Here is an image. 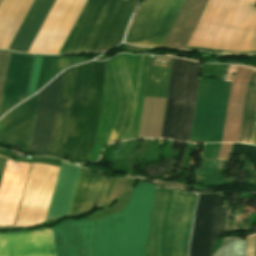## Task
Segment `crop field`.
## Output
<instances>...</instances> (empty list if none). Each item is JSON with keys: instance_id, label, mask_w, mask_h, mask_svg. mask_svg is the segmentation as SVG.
<instances>
[{"instance_id": "1", "label": "crop field", "mask_w": 256, "mask_h": 256, "mask_svg": "<svg viewBox=\"0 0 256 256\" xmlns=\"http://www.w3.org/2000/svg\"><path fill=\"white\" fill-rule=\"evenodd\" d=\"M186 46L256 50V0H209ZM192 47L185 49L256 53Z\"/></svg>"}, {"instance_id": "2", "label": "crop field", "mask_w": 256, "mask_h": 256, "mask_svg": "<svg viewBox=\"0 0 256 256\" xmlns=\"http://www.w3.org/2000/svg\"><path fill=\"white\" fill-rule=\"evenodd\" d=\"M156 187L138 183L119 213L98 217L93 256H145V243Z\"/></svg>"}, {"instance_id": "3", "label": "crop field", "mask_w": 256, "mask_h": 256, "mask_svg": "<svg viewBox=\"0 0 256 256\" xmlns=\"http://www.w3.org/2000/svg\"><path fill=\"white\" fill-rule=\"evenodd\" d=\"M136 2L87 0L60 54L99 52L121 42Z\"/></svg>"}, {"instance_id": "4", "label": "crop field", "mask_w": 256, "mask_h": 256, "mask_svg": "<svg viewBox=\"0 0 256 256\" xmlns=\"http://www.w3.org/2000/svg\"><path fill=\"white\" fill-rule=\"evenodd\" d=\"M54 0H35L9 49L27 52ZM86 0H55L28 52L58 54Z\"/></svg>"}, {"instance_id": "5", "label": "crop field", "mask_w": 256, "mask_h": 256, "mask_svg": "<svg viewBox=\"0 0 256 256\" xmlns=\"http://www.w3.org/2000/svg\"><path fill=\"white\" fill-rule=\"evenodd\" d=\"M104 64L91 61L77 69L67 137L60 154L78 163L85 161L93 143Z\"/></svg>"}, {"instance_id": "6", "label": "crop field", "mask_w": 256, "mask_h": 256, "mask_svg": "<svg viewBox=\"0 0 256 256\" xmlns=\"http://www.w3.org/2000/svg\"><path fill=\"white\" fill-rule=\"evenodd\" d=\"M200 67L174 58L161 137L188 141Z\"/></svg>"}, {"instance_id": "7", "label": "crop field", "mask_w": 256, "mask_h": 256, "mask_svg": "<svg viewBox=\"0 0 256 256\" xmlns=\"http://www.w3.org/2000/svg\"><path fill=\"white\" fill-rule=\"evenodd\" d=\"M230 82L200 78L191 141L221 142Z\"/></svg>"}, {"instance_id": "8", "label": "crop field", "mask_w": 256, "mask_h": 256, "mask_svg": "<svg viewBox=\"0 0 256 256\" xmlns=\"http://www.w3.org/2000/svg\"><path fill=\"white\" fill-rule=\"evenodd\" d=\"M184 0H144L125 42L161 48Z\"/></svg>"}, {"instance_id": "9", "label": "crop field", "mask_w": 256, "mask_h": 256, "mask_svg": "<svg viewBox=\"0 0 256 256\" xmlns=\"http://www.w3.org/2000/svg\"><path fill=\"white\" fill-rule=\"evenodd\" d=\"M221 198L216 195H199L189 256H210L211 245L221 234L226 210L219 208Z\"/></svg>"}, {"instance_id": "10", "label": "crop field", "mask_w": 256, "mask_h": 256, "mask_svg": "<svg viewBox=\"0 0 256 256\" xmlns=\"http://www.w3.org/2000/svg\"><path fill=\"white\" fill-rule=\"evenodd\" d=\"M195 198L192 193L174 189L164 256H187Z\"/></svg>"}, {"instance_id": "11", "label": "crop field", "mask_w": 256, "mask_h": 256, "mask_svg": "<svg viewBox=\"0 0 256 256\" xmlns=\"http://www.w3.org/2000/svg\"><path fill=\"white\" fill-rule=\"evenodd\" d=\"M62 75L40 91L33 138L26 152L47 153L53 135Z\"/></svg>"}, {"instance_id": "12", "label": "crop field", "mask_w": 256, "mask_h": 256, "mask_svg": "<svg viewBox=\"0 0 256 256\" xmlns=\"http://www.w3.org/2000/svg\"><path fill=\"white\" fill-rule=\"evenodd\" d=\"M95 220H66L51 228L56 256H91Z\"/></svg>"}, {"instance_id": "13", "label": "crop field", "mask_w": 256, "mask_h": 256, "mask_svg": "<svg viewBox=\"0 0 256 256\" xmlns=\"http://www.w3.org/2000/svg\"><path fill=\"white\" fill-rule=\"evenodd\" d=\"M34 56L11 53L3 88L0 116L25 99Z\"/></svg>"}, {"instance_id": "14", "label": "crop field", "mask_w": 256, "mask_h": 256, "mask_svg": "<svg viewBox=\"0 0 256 256\" xmlns=\"http://www.w3.org/2000/svg\"><path fill=\"white\" fill-rule=\"evenodd\" d=\"M38 94L4 116L1 143L28 144L32 138Z\"/></svg>"}, {"instance_id": "15", "label": "crop field", "mask_w": 256, "mask_h": 256, "mask_svg": "<svg viewBox=\"0 0 256 256\" xmlns=\"http://www.w3.org/2000/svg\"><path fill=\"white\" fill-rule=\"evenodd\" d=\"M114 178L90 174L81 169L69 214L90 211L96 201L108 198Z\"/></svg>"}, {"instance_id": "16", "label": "crop field", "mask_w": 256, "mask_h": 256, "mask_svg": "<svg viewBox=\"0 0 256 256\" xmlns=\"http://www.w3.org/2000/svg\"><path fill=\"white\" fill-rule=\"evenodd\" d=\"M80 169L78 166L61 161L46 219L68 215Z\"/></svg>"}, {"instance_id": "17", "label": "crop field", "mask_w": 256, "mask_h": 256, "mask_svg": "<svg viewBox=\"0 0 256 256\" xmlns=\"http://www.w3.org/2000/svg\"><path fill=\"white\" fill-rule=\"evenodd\" d=\"M7 256H55L50 229L8 233Z\"/></svg>"}, {"instance_id": "18", "label": "crop field", "mask_w": 256, "mask_h": 256, "mask_svg": "<svg viewBox=\"0 0 256 256\" xmlns=\"http://www.w3.org/2000/svg\"><path fill=\"white\" fill-rule=\"evenodd\" d=\"M172 191L157 189L154 211L147 243V256H163V244L169 215Z\"/></svg>"}, {"instance_id": "19", "label": "crop field", "mask_w": 256, "mask_h": 256, "mask_svg": "<svg viewBox=\"0 0 256 256\" xmlns=\"http://www.w3.org/2000/svg\"><path fill=\"white\" fill-rule=\"evenodd\" d=\"M33 0H2L0 3V49H8Z\"/></svg>"}, {"instance_id": "20", "label": "crop field", "mask_w": 256, "mask_h": 256, "mask_svg": "<svg viewBox=\"0 0 256 256\" xmlns=\"http://www.w3.org/2000/svg\"><path fill=\"white\" fill-rule=\"evenodd\" d=\"M76 67L64 71L60 99L70 101ZM59 101L53 140L47 154L57 155L65 137L70 102Z\"/></svg>"}, {"instance_id": "21", "label": "crop field", "mask_w": 256, "mask_h": 256, "mask_svg": "<svg viewBox=\"0 0 256 256\" xmlns=\"http://www.w3.org/2000/svg\"><path fill=\"white\" fill-rule=\"evenodd\" d=\"M256 122V70L253 71L246 90L238 142L252 144Z\"/></svg>"}, {"instance_id": "22", "label": "crop field", "mask_w": 256, "mask_h": 256, "mask_svg": "<svg viewBox=\"0 0 256 256\" xmlns=\"http://www.w3.org/2000/svg\"><path fill=\"white\" fill-rule=\"evenodd\" d=\"M61 57L43 56L36 90L58 73Z\"/></svg>"}, {"instance_id": "23", "label": "crop field", "mask_w": 256, "mask_h": 256, "mask_svg": "<svg viewBox=\"0 0 256 256\" xmlns=\"http://www.w3.org/2000/svg\"><path fill=\"white\" fill-rule=\"evenodd\" d=\"M245 242L242 238L226 237L224 244L215 256H244Z\"/></svg>"}, {"instance_id": "24", "label": "crop field", "mask_w": 256, "mask_h": 256, "mask_svg": "<svg viewBox=\"0 0 256 256\" xmlns=\"http://www.w3.org/2000/svg\"><path fill=\"white\" fill-rule=\"evenodd\" d=\"M42 56H35L34 58V63L32 67V72H31V77H30V82H29V87L27 91V96H30L31 94L34 93L35 86H36V81H37V76L39 72V67H40V62H41Z\"/></svg>"}, {"instance_id": "25", "label": "crop field", "mask_w": 256, "mask_h": 256, "mask_svg": "<svg viewBox=\"0 0 256 256\" xmlns=\"http://www.w3.org/2000/svg\"><path fill=\"white\" fill-rule=\"evenodd\" d=\"M221 144H206L203 156L208 159H217Z\"/></svg>"}, {"instance_id": "26", "label": "crop field", "mask_w": 256, "mask_h": 256, "mask_svg": "<svg viewBox=\"0 0 256 256\" xmlns=\"http://www.w3.org/2000/svg\"><path fill=\"white\" fill-rule=\"evenodd\" d=\"M255 239H256V233L247 236L245 256H254V253H255Z\"/></svg>"}, {"instance_id": "27", "label": "crop field", "mask_w": 256, "mask_h": 256, "mask_svg": "<svg viewBox=\"0 0 256 256\" xmlns=\"http://www.w3.org/2000/svg\"><path fill=\"white\" fill-rule=\"evenodd\" d=\"M82 57H76V58H72V57H62L61 59V65H60V70L66 68L69 65H73V64H78L81 62Z\"/></svg>"}, {"instance_id": "28", "label": "crop field", "mask_w": 256, "mask_h": 256, "mask_svg": "<svg viewBox=\"0 0 256 256\" xmlns=\"http://www.w3.org/2000/svg\"><path fill=\"white\" fill-rule=\"evenodd\" d=\"M7 254V233L0 234V256H6Z\"/></svg>"}, {"instance_id": "29", "label": "crop field", "mask_w": 256, "mask_h": 256, "mask_svg": "<svg viewBox=\"0 0 256 256\" xmlns=\"http://www.w3.org/2000/svg\"><path fill=\"white\" fill-rule=\"evenodd\" d=\"M85 167L89 168V169L96 170V171H100V172L112 173V172H110L109 170H107L103 167H99V166H95V165H87Z\"/></svg>"}, {"instance_id": "30", "label": "crop field", "mask_w": 256, "mask_h": 256, "mask_svg": "<svg viewBox=\"0 0 256 256\" xmlns=\"http://www.w3.org/2000/svg\"><path fill=\"white\" fill-rule=\"evenodd\" d=\"M5 160H6L5 158L0 157V179H1L3 168H4Z\"/></svg>"}, {"instance_id": "31", "label": "crop field", "mask_w": 256, "mask_h": 256, "mask_svg": "<svg viewBox=\"0 0 256 256\" xmlns=\"http://www.w3.org/2000/svg\"><path fill=\"white\" fill-rule=\"evenodd\" d=\"M254 144H256V135H255V141H254Z\"/></svg>"}, {"instance_id": "32", "label": "crop field", "mask_w": 256, "mask_h": 256, "mask_svg": "<svg viewBox=\"0 0 256 256\" xmlns=\"http://www.w3.org/2000/svg\"><path fill=\"white\" fill-rule=\"evenodd\" d=\"M255 256H256V253H255Z\"/></svg>"}]
</instances>
